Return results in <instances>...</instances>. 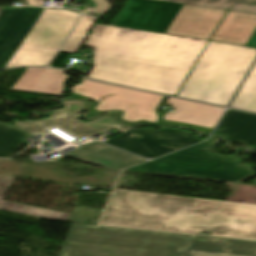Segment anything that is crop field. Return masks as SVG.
<instances>
[{
    "label": "crop field",
    "instance_id": "8a807250",
    "mask_svg": "<svg viewBox=\"0 0 256 256\" xmlns=\"http://www.w3.org/2000/svg\"><path fill=\"white\" fill-rule=\"evenodd\" d=\"M207 41L95 24L87 78L176 95Z\"/></svg>",
    "mask_w": 256,
    "mask_h": 256
},
{
    "label": "crop field",
    "instance_id": "ac0d7876",
    "mask_svg": "<svg viewBox=\"0 0 256 256\" xmlns=\"http://www.w3.org/2000/svg\"><path fill=\"white\" fill-rule=\"evenodd\" d=\"M100 224L256 240V205L115 189Z\"/></svg>",
    "mask_w": 256,
    "mask_h": 256
},
{
    "label": "crop field",
    "instance_id": "34b2d1b8",
    "mask_svg": "<svg viewBox=\"0 0 256 256\" xmlns=\"http://www.w3.org/2000/svg\"><path fill=\"white\" fill-rule=\"evenodd\" d=\"M79 16L64 9L0 7V68L46 66Z\"/></svg>",
    "mask_w": 256,
    "mask_h": 256
},
{
    "label": "crop field",
    "instance_id": "412701ff",
    "mask_svg": "<svg viewBox=\"0 0 256 256\" xmlns=\"http://www.w3.org/2000/svg\"><path fill=\"white\" fill-rule=\"evenodd\" d=\"M63 103L66 108L55 111L48 119L19 123L14 126L31 135H43L48 130L58 127L77 138L92 136L114 127L124 134L104 143L149 159L201 141L195 139L188 131L170 129L160 131L151 129L135 130L123 127L120 123L114 121L112 116H103L95 121L85 123L79 119V114L88 105L86 101L65 100Z\"/></svg>",
    "mask_w": 256,
    "mask_h": 256
},
{
    "label": "crop field",
    "instance_id": "f4fd0767",
    "mask_svg": "<svg viewBox=\"0 0 256 256\" xmlns=\"http://www.w3.org/2000/svg\"><path fill=\"white\" fill-rule=\"evenodd\" d=\"M189 236L72 223L58 256H181Z\"/></svg>",
    "mask_w": 256,
    "mask_h": 256
},
{
    "label": "crop field",
    "instance_id": "dd49c442",
    "mask_svg": "<svg viewBox=\"0 0 256 256\" xmlns=\"http://www.w3.org/2000/svg\"><path fill=\"white\" fill-rule=\"evenodd\" d=\"M255 57L256 49L208 41L177 96L227 106Z\"/></svg>",
    "mask_w": 256,
    "mask_h": 256
},
{
    "label": "crop field",
    "instance_id": "e52e79f7",
    "mask_svg": "<svg viewBox=\"0 0 256 256\" xmlns=\"http://www.w3.org/2000/svg\"><path fill=\"white\" fill-rule=\"evenodd\" d=\"M219 140V136L213 137L203 143L135 166L127 171L239 184L255 176L256 173L252 168L236 165L239 159L238 153L249 152L252 149L244 148L233 155H220L214 149Z\"/></svg>",
    "mask_w": 256,
    "mask_h": 256
},
{
    "label": "crop field",
    "instance_id": "d8731c3e",
    "mask_svg": "<svg viewBox=\"0 0 256 256\" xmlns=\"http://www.w3.org/2000/svg\"><path fill=\"white\" fill-rule=\"evenodd\" d=\"M70 91L73 93L70 99L88 98L96 102L89 107L87 118L116 110L121 111L117 119L132 127L137 126L139 121H145L150 125L158 124L160 114L157 110L165 98V96L88 81L84 78Z\"/></svg>",
    "mask_w": 256,
    "mask_h": 256
},
{
    "label": "crop field",
    "instance_id": "5a996713",
    "mask_svg": "<svg viewBox=\"0 0 256 256\" xmlns=\"http://www.w3.org/2000/svg\"><path fill=\"white\" fill-rule=\"evenodd\" d=\"M183 4L128 0L112 25L165 33Z\"/></svg>",
    "mask_w": 256,
    "mask_h": 256
},
{
    "label": "crop field",
    "instance_id": "3316defc",
    "mask_svg": "<svg viewBox=\"0 0 256 256\" xmlns=\"http://www.w3.org/2000/svg\"><path fill=\"white\" fill-rule=\"evenodd\" d=\"M226 10L184 4L168 34L208 40Z\"/></svg>",
    "mask_w": 256,
    "mask_h": 256
},
{
    "label": "crop field",
    "instance_id": "28ad6ade",
    "mask_svg": "<svg viewBox=\"0 0 256 256\" xmlns=\"http://www.w3.org/2000/svg\"><path fill=\"white\" fill-rule=\"evenodd\" d=\"M166 105L176 107L174 113L166 112L159 124L164 126L190 127L210 132L222 114V108L168 97Z\"/></svg>",
    "mask_w": 256,
    "mask_h": 256
},
{
    "label": "crop field",
    "instance_id": "d1516ede",
    "mask_svg": "<svg viewBox=\"0 0 256 256\" xmlns=\"http://www.w3.org/2000/svg\"><path fill=\"white\" fill-rule=\"evenodd\" d=\"M182 256H256V242L191 235Z\"/></svg>",
    "mask_w": 256,
    "mask_h": 256
},
{
    "label": "crop field",
    "instance_id": "22f410ed",
    "mask_svg": "<svg viewBox=\"0 0 256 256\" xmlns=\"http://www.w3.org/2000/svg\"><path fill=\"white\" fill-rule=\"evenodd\" d=\"M67 155L82 162L91 163L121 171L126 167L145 161L129 153L116 150L100 143L83 145L80 149L68 152Z\"/></svg>",
    "mask_w": 256,
    "mask_h": 256
},
{
    "label": "crop field",
    "instance_id": "cbeb9de0",
    "mask_svg": "<svg viewBox=\"0 0 256 256\" xmlns=\"http://www.w3.org/2000/svg\"><path fill=\"white\" fill-rule=\"evenodd\" d=\"M64 73V71L49 68H27L11 89L61 95L63 92L62 83L69 77Z\"/></svg>",
    "mask_w": 256,
    "mask_h": 256
},
{
    "label": "crop field",
    "instance_id": "5142ce71",
    "mask_svg": "<svg viewBox=\"0 0 256 256\" xmlns=\"http://www.w3.org/2000/svg\"><path fill=\"white\" fill-rule=\"evenodd\" d=\"M216 130L227 135V148H231L232 142L256 143V115L227 110Z\"/></svg>",
    "mask_w": 256,
    "mask_h": 256
},
{
    "label": "crop field",
    "instance_id": "d9b57169",
    "mask_svg": "<svg viewBox=\"0 0 256 256\" xmlns=\"http://www.w3.org/2000/svg\"><path fill=\"white\" fill-rule=\"evenodd\" d=\"M256 28V15L228 11L211 40L245 45Z\"/></svg>",
    "mask_w": 256,
    "mask_h": 256
},
{
    "label": "crop field",
    "instance_id": "733c2abd",
    "mask_svg": "<svg viewBox=\"0 0 256 256\" xmlns=\"http://www.w3.org/2000/svg\"><path fill=\"white\" fill-rule=\"evenodd\" d=\"M230 107L256 112V63Z\"/></svg>",
    "mask_w": 256,
    "mask_h": 256
},
{
    "label": "crop field",
    "instance_id": "4a817a6b",
    "mask_svg": "<svg viewBox=\"0 0 256 256\" xmlns=\"http://www.w3.org/2000/svg\"><path fill=\"white\" fill-rule=\"evenodd\" d=\"M28 133L6 124L0 123V158L13 156L16 149L23 144L22 137Z\"/></svg>",
    "mask_w": 256,
    "mask_h": 256
},
{
    "label": "crop field",
    "instance_id": "bc2a9ffb",
    "mask_svg": "<svg viewBox=\"0 0 256 256\" xmlns=\"http://www.w3.org/2000/svg\"><path fill=\"white\" fill-rule=\"evenodd\" d=\"M256 14V0H165Z\"/></svg>",
    "mask_w": 256,
    "mask_h": 256
},
{
    "label": "crop field",
    "instance_id": "214f88e0",
    "mask_svg": "<svg viewBox=\"0 0 256 256\" xmlns=\"http://www.w3.org/2000/svg\"><path fill=\"white\" fill-rule=\"evenodd\" d=\"M0 209L37 216V217L48 218V219L62 220V221H66L69 216L68 213L57 212V211L31 207V206H26V205H21L16 203H10L5 201L2 202Z\"/></svg>",
    "mask_w": 256,
    "mask_h": 256
},
{
    "label": "crop field",
    "instance_id": "92a150f3",
    "mask_svg": "<svg viewBox=\"0 0 256 256\" xmlns=\"http://www.w3.org/2000/svg\"><path fill=\"white\" fill-rule=\"evenodd\" d=\"M96 19L82 16L61 52L76 54Z\"/></svg>",
    "mask_w": 256,
    "mask_h": 256
},
{
    "label": "crop field",
    "instance_id": "dafd665d",
    "mask_svg": "<svg viewBox=\"0 0 256 256\" xmlns=\"http://www.w3.org/2000/svg\"><path fill=\"white\" fill-rule=\"evenodd\" d=\"M103 210L74 207L68 221L97 224Z\"/></svg>",
    "mask_w": 256,
    "mask_h": 256
},
{
    "label": "crop field",
    "instance_id": "00972430",
    "mask_svg": "<svg viewBox=\"0 0 256 256\" xmlns=\"http://www.w3.org/2000/svg\"><path fill=\"white\" fill-rule=\"evenodd\" d=\"M92 1L96 3V8H86L85 12L102 14L106 9L110 7L107 0H92Z\"/></svg>",
    "mask_w": 256,
    "mask_h": 256
},
{
    "label": "crop field",
    "instance_id": "a9b5d70f",
    "mask_svg": "<svg viewBox=\"0 0 256 256\" xmlns=\"http://www.w3.org/2000/svg\"><path fill=\"white\" fill-rule=\"evenodd\" d=\"M12 181H13V178L0 177V203L3 200L6 192L8 191Z\"/></svg>",
    "mask_w": 256,
    "mask_h": 256
},
{
    "label": "crop field",
    "instance_id": "4177f3b9",
    "mask_svg": "<svg viewBox=\"0 0 256 256\" xmlns=\"http://www.w3.org/2000/svg\"><path fill=\"white\" fill-rule=\"evenodd\" d=\"M246 46L256 48V30L254 31V33L252 34V36L250 37V39L246 43Z\"/></svg>",
    "mask_w": 256,
    "mask_h": 256
},
{
    "label": "crop field",
    "instance_id": "730fd06b",
    "mask_svg": "<svg viewBox=\"0 0 256 256\" xmlns=\"http://www.w3.org/2000/svg\"><path fill=\"white\" fill-rule=\"evenodd\" d=\"M29 5H34V6H42L44 3V0H26Z\"/></svg>",
    "mask_w": 256,
    "mask_h": 256
},
{
    "label": "crop field",
    "instance_id": "eef30255",
    "mask_svg": "<svg viewBox=\"0 0 256 256\" xmlns=\"http://www.w3.org/2000/svg\"><path fill=\"white\" fill-rule=\"evenodd\" d=\"M254 183L256 184V181Z\"/></svg>",
    "mask_w": 256,
    "mask_h": 256
},
{
    "label": "crop field",
    "instance_id": "ae1a2a85",
    "mask_svg": "<svg viewBox=\"0 0 256 256\" xmlns=\"http://www.w3.org/2000/svg\"><path fill=\"white\" fill-rule=\"evenodd\" d=\"M162 1H164V0H162Z\"/></svg>",
    "mask_w": 256,
    "mask_h": 256
}]
</instances>
